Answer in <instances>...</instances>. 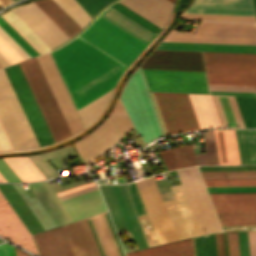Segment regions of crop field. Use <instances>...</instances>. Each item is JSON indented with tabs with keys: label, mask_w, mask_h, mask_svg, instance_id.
I'll use <instances>...</instances> for the list:
<instances>
[{
	"label": "crop field",
	"mask_w": 256,
	"mask_h": 256,
	"mask_svg": "<svg viewBox=\"0 0 256 256\" xmlns=\"http://www.w3.org/2000/svg\"><path fill=\"white\" fill-rule=\"evenodd\" d=\"M163 41L256 45V24L202 21L195 34L171 30ZM156 48L256 53V46L161 42Z\"/></svg>",
	"instance_id": "8a807250"
},
{
	"label": "crop field",
	"mask_w": 256,
	"mask_h": 256,
	"mask_svg": "<svg viewBox=\"0 0 256 256\" xmlns=\"http://www.w3.org/2000/svg\"><path fill=\"white\" fill-rule=\"evenodd\" d=\"M51 54L69 93L120 63L79 37Z\"/></svg>",
	"instance_id": "ac0d7876"
},
{
	"label": "crop field",
	"mask_w": 256,
	"mask_h": 256,
	"mask_svg": "<svg viewBox=\"0 0 256 256\" xmlns=\"http://www.w3.org/2000/svg\"><path fill=\"white\" fill-rule=\"evenodd\" d=\"M83 183L84 180L59 187L58 183L49 185L43 181L28 186L59 226L106 210L98 189L63 201L55 194Z\"/></svg>",
	"instance_id": "34b2d1b8"
},
{
	"label": "crop field",
	"mask_w": 256,
	"mask_h": 256,
	"mask_svg": "<svg viewBox=\"0 0 256 256\" xmlns=\"http://www.w3.org/2000/svg\"><path fill=\"white\" fill-rule=\"evenodd\" d=\"M86 219L101 256H124L107 212ZM86 219L63 227L75 256H100Z\"/></svg>",
	"instance_id": "412701ff"
},
{
	"label": "crop field",
	"mask_w": 256,
	"mask_h": 256,
	"mask_svg": "<svg viewBox=\"0 0 256 256\" xmlns=\"http://www.w3.org/2000/svg\"><path fill=\"white\" fill-rule=\"evenodd\" d=\"M144 89L147 88L138 67L126 82L120 99L136 132L147 144L163 134Z\"/></svg>",
	"instance_id": "f4fd0767"
},
{
	"label": "crop field",
	"mask_w": 256,
	"mask_h": 256,
	"mask_svg": "<svg viewBox=\"0 0 256 256\" xmlns=\"http://www.w3.org/2000/svg\"><path fill=\"white\" fill-rule=\"evenodd\" d=\"M0 120L15 150L39 146L3 69L0 70Z\"/></svg>",
	"instance_id": "dd49c442"
},
{
	"label": "crop field",
	"mask_w": 256,
	"mask_h": 256,
	"mask_svg": "<svg viewBox=\"0 0 256 256\" xmlns=\"http://www.w3.org/2000/svg\"><path fill=\"white\" fill-rule=\"evenodd\" d=\"M19 65L26 77V80L34 94V97L55 141L57 142L71 136L72 134L63 118V115L53 97V94L36 59L34 58L28 60L20 63Z\"/></svg>",
	"instance_id": "e52e79f7"
},
{
	"label": "crop field",
	"mask_w": 256,
	"mask_h": 256,
	"mask_svg": "<svg viewBox=\"0 0 256 256\" xmlns=\"http://www.w3.org/2000/svg\"><path fill=\"white\" fill-rule=\"evenodd\" d=\"M115 228L126 226L140 249L147 243L124 184L99 185Z\"/></svg>",
	"instance_id": "d8731c3e"
},
{
	"label": "crop field",
	"mask_w": 256,
	"mask_h": 256,
	"mask_svg": "<svg viewBox=\"0 0 256 256\" xmlns=\"http://www.w3.org/2000/svg\"><path fill=\"white\" fill-rule=\"evenodd\" d=\"M187 180L188 186L192 193V196L195 200L201 218L204 222L206 230L208 233L221 231L220 226L218 224L217 218L215 216L214 210L212 208L211 202L209 200L208 194L206 192L205 186L203 184L202 178L198 171L197 167L185 168L182 169ZM181 169L176 170L184 191L186 193L187 199L197 221L198 227L200 229L201 234H206L205 227L202 223L196 205L193 201L189 188L187 186L186 180L184 178L183 172Z\"/></svg>",
	"instance_id": "5a996713"
},
{
	"label": "crop field",
	"mask_w": 256,
	"mask_h": 256,
	"mask_svg": "<svg viewBox=\"0 0 256 256\" xmlns=\"http://www.w3.org/2000/svg\"><path fill=\"white\" fill-rule=\"evenodd\" d=\"M153 94L168 135L200 129L187 94Z\"/></svg>",
	"instance_id": "3316defc"
},
{
	"label": "crop field",
	"mask_w": 256,
	"mask_h": 256,
	"mask_svg": "<svg viewBox=\"0 0 256 256\" xmlns=\"http://www.w3.org/2000/svg\"><path fill=\"white\" fill-rule=\"evenodd\" d=\"M142 70L150 91L209 93L204 72Z\"/></svg>",
	"instance_id": "28ad6ade"
},
{
	"label": "crop field",
	"mask_w": 256,
	"mask_h": 256,
	"mask_svg": "<svg viewBox=\"0 0 256 256\" xmlns=\"http://www.w3.org/2000/svg\"><path fill=\"white\" fill-rule=\"evenodd\" d=\"M13 186L16 188L44 230L56 227V224L53 222L51 217L35 196L30 198L21 184H13ZM13 186L12 184H0V190L11 204L17 215L20 217L26 228L29 230L31 235L43 231V228L40 226Z\"/></svg>",
	"instance_id": "d1516ede"
},
{
	"label": "crop field",
	"mask_w": 256,
	"mask_h": 256,
	"mask_svg": "<svg viewBox=\"0 0 256 256\" xmlns=\"http://www.w3.org/2000/svg\"><path fill=\"white\" fill-rule=\"evenodd\" d=\"M159 244L178 240L154 177L135 182Z\"/></svg>",
	"instance_id": "22f410ed"
},
{
	"label": "crop field",
	"mask_w": 256,
	"mask_h": 256,
	"mask_svg": "<svg viewBox=\"0 0 256 256\" xmlns=\"http://www.w3.org/2000/svg\"><path fill=\"white\" fill-rule=\"evenodd\" d=\"M4 70L13 86V89L23 107V110L32 126V129L40 145L44 146L54 143L55 141L48 129V126L40 112V109L33 97V94L25 80V77L19 65L17 64L5 68Z\"/></svg>",
	"instance_id": "cbeb9de0"
},
{
	"label": "crop field",
	"mask_w": 256,
	"mask_h": 256,
	"mask_svg": "<svg viewBox=\"0 0 256 256\" xmlns=\"http://www.w3.org/2000/svg\"><path fill=\"white\" fill-rule=\"evenodd\" d=\"M80 37L127 65L142 50L95 21Z\"/></svg>",
	"instance_id": "5142ce71"
},
{
	"label": "crop field",
	"mask_w": 256,
	"mask_h": 256,
	"mask_svg": "<svg viewBox=\"0 0 256 256\" xmlns=\"http://www.w3.org/2000/svg\"><path fill=\"white\" fill-rule=\"evenodd\" d=\"M45 78L55 96V99L64 115V118L72 132L77 133L84 128L75 107L67 93V90L58 74V71L48 53L36 58Z\"/></svg>",
	"instance_id": "d9b57169"
},
{
	"label": "crop field",
	"mask_w": 256,
	"mask_h": 256,
	"mask_svg": "<svg viewBox=\"0 0 256 256\" xmlns=\"http://www.w3.org/2000/svg\"><path fill=\"white\" fill-rule=\"evenodd\" d=\"M12 11L50 48L69 39L34 2Z\"/></svg>",
	"instance_id": "733c2abd"
},
{
	"label": "crop field",
	"mask_w": 256,
	"mask_h": 256,
	"mask_svg": "<svg viewBox=\"0 0 256 256\" xmlns=\"http://www.w3.org/2000/svg\"><path fill=\"white\" fill-rule=\"evenodd\" d=\"M175 200L164 201L179 240L201 235L181 185L172 186Z\"/></svg>",
	"instance_id": "4a817a6b"
},
{
	"label": "crop field",
	"mask_w": 256,
	"mask_h": 256,
	"mask_svg": "<svg viewBox=\"0 0 256 256\" xmlns=\"http://www.w3.org/2000/svg\"><path fill=\"white\" fill-rule=\"evenodd\" d=\"M141 68L204 71L201 52L156 50Z\"/></svg>",
	"instance_id": "bc2a9ffb"
},
{
	"label": "crop field",
	"mask_w": 256,
	"mask_h": 256,
	"mask_svg": "<svg viewBox=\"0 0 256 256\" xmlns=\"http://www.w3.org/2000/svg\"><path fill=\"white\" fill-rule=\"evenodd\" d=\"M118 140L120 138L108 117L95 131L74 144L85 162L90 163L102 157V153Z\"/></svg>",
	"instance_id": "214f88e0"
},
{
	"label": "crop field",
	"mask_w": 256,
	"mask_h": 256,
	"mask_svg": "<svg viewBox=\"0 0 256 256\" xmlns=\"http://www.w3.org/2000/svg\"><path fill=\"white\" fill-rule=\"evenodd\" d=\"M0 235L7 238L11 242L39 255L30 233L25 228L1 192Z\"/></svg>",
	"instance_id": "92a150f3"
},
{
	"label": "crop field",
	"mask_w": 256,
	"mask_h": 256,
	"mask_svg": "<svg viewBox=\"0 0 256 256\" xmlns=\"http://www.w3.org/2000/svg\"><path fill=\"white\" fill-rule=\"evenodd\" d=\"M209 84L254 85L256 66L205 63Z\"/></svg>",
	"instance_id": "dafd665d"
},
{
	"label": "crop field",
	"mask_w": 256,
	"mask_h": 256,
	"mask_svg": "<svg viewBox=\"0 0 256 256\" xmlns=\"http://www.w3.org/2000/svg\"><path fill=\"white\" fill-rule=\"evenodd\" d=\"M126 66L123 64H118L115 67L111 68L107 72L103 73L102 75L98 76L97 78L93 79L92 81L88 82L87 84L83 85L79 89L75 90L74 92L70 93L73 101L78 100L79 98L83 97L84 95L90 93L91 91L95 90L96 88L100 87L101 85L105 84L106 82L112 80L113 78L117 77L118 75L122 74L125 70ZM113 79L112 81L106 83L105 85L101 86L100 88L96 89L95 91L91 92L90 94L84 96L83 98L79 99L78 101L74 102L77 110L85 106L86 104L90 103L91 101L95 100L96 98L100 97L104 93L108 92L109 90L113 89L118 78Z\"/></svg>",
	"instance_id": "00972430"
},
{
	"label": "crop field",
	"mask_w": 256,
	"mask_h": 256,
	"mask_svg": "<svg viewBox=\"0 0 256 256\" xmlns=\"http://www.w3.org/2000/svg\"><path fill=\"white\" fill-rule=\"evenodd\" d=\"M185 12L255 16L252 0H195Z\"/></svg>",
	"instance_id": "a9b5d70f"
},
{
	"label": "crop field",
	"mask_w": 256,
	"mask_h": 256,
	"mask_svg": "<svg viewBox=\"0 0 256 256\" xmlns=\"http://www.w3.org/2000/svg\"><path fill=\"white\" fill-rule=\"evenodd\" d=\"M33 238L40 256H74L62 226Z\"/></svg>",
	"instance_id": "4177f3b9"
},
{
	"label": "crop field",
	"mask_w": 256,
	"mask_h": 256,
	"mask_svg": "<svg viewBox=\"0 0 256 256\" xmlns=\"http://www.w3.org/2000/svg\"><path fill=\"white\" fill-rule=\"evenodd\" d=\"M159 28L168 22L171 12L152 0H120L118 1Z\"/></svg>",
	"instance_id": "730fd06b"
},
{
	"label": "crop field",
	"mask_w": 256,
	"mask_h": 256,
	"mask_svg": "<svg viewBox=\"0 0 256 256\" xmlns=\"http://www.w3.org/2000/svg\"><path fill=\"white\" fill-rule=\"evenodd\" d=\"M211 96L222 127H245L234 96Z\"/></svg>",
	"instance_id": "eef30255"
},
{
	"label": "crop field",
	"mask_w": 256,
	"mask_h": 256,
	"mask_svg": "<svg viewBox=\"0 0 256 256\" xmlns=\"http://www.w3.org/2000/svg\"><path fill=\"white\" fill-rule=\"evenodd\" d=\"M209 195L216 210L256 209V193Z\"/></svg>",
	"instance_id": "ae1a2a85"
},
{
	"label": "crop field",
	"mask_w": 256,
	"mask_h": 256,
	"mask_svg": "<svg viewBox=\"0 0 256 256\" xmlns=\"http://www.w3.org/2000/svg\"><path fill=\"white\" fill-rule=\"evenodd\" d=\"M188 95L201 129L221 127L210 95Z\"/></svg>",
	"instance_id": "d3111659"
},
{
	"label": "crop field",
	"mask_w": 256,
	"mask_h": 256,
	"mask_svg": "<svg viewBox=\"0 0 256 256\" xmlns=\"http://www.w3.org/2000/svg\"><path fill=\"white\" fill-rule=\"evenodd\" d=\"M35 3L69 38L82 29L52 0H39Z\"/></svg>",
	"instance_id": "750c4746"
},
{
	"label": "crop field",
	"mask_w": 256,
	"mask_h": 256,
	"mask_svg": "<svg viewBox=\"0 0 256 256\" xmlns=\"http://www.w3.org/2000/svg\"><path fill=\"white\" fill-rule=\"evenodd\" d=\"M220 164H240L234 130H214Z\"/></svg>",
	"instance_id": "bd1437ed"
},
{
	"label": "crop field",
	"mask_w": 256,
	"mask_h": 256,
	"mask_svg": "<svg viewBox=\"0 0 256 256\" xmlns=\"http://www.w3.org/2000/svg\"><path fill=\"white\" fill-rule=\"evenodd\" d=\"M108 8L109 9L106 12L103 11L100 16L124 29L128 33L142 40L143 42L149 44V42L156 35L151 31L147 30L146 28L142 27L141 25L137 24L136 22L120 14L119 12L115 11L114 9L110 7Z\"/></svg>",
	"instance_id": "1d83c4d3"
},
{
	"label": "crop field",
	"mask_w": 256,
	"mask_h": 256,
	"mask_svg": "<svg viewBox=\"0 0 256 256\" xmlns=\"http://www.w3.org/2000/svg\"><path fill=\"white\" fill-rule=\"evenodd\" d=\"M126 256H194L192 239L126 254Z\"/></svg>",
	"instance_id": "120bbe31"
},
{
	"label": "crop field",
	"mask_w": 256,
	"mask_h": 256,
	"mask_svg": "<svg viewBox=\"0 0 256 256\" xmlns=\"http://www.w3.org/2000/svg\"><path fill=\"white\" fill-rule=\"evenodd\" d=\"M227 236L230 256H249V247L250 256H256V232H248L249 247L247 232H237L239 254L236 232H227Z\"/></svg>",
	"instance_id": "d32e631a"
},
{
	"label": "crop field",
	"mask_w": 256,
	"mask_h": 256,
	"mask_svg": "<svg viewBox=\"0 0 256 256\" xmlns=\"http://www.w3.org/2000/svg\"><path fill=\"white\" fill-rule=\"evenodd\" d=\"M241 164H256V130H235Z\"/></svg>",
	"instance_id": "5866460e"
},
{
	"label": "crop field",
	"mask_w": 256,
	"mask_h": 256,
	"mask_svg": "<svg viewBox=\"0 0 256 256\" xmlns=\"http://www.w3.org/2000/svg\"><path fill=\"white\" fill-rule=\"evenodd\" d=\"M4 159L23 182L45 179L43 175L38 171V169L33 165V163L27 158V156Z\"/></svg>",
	"instance_id": "028f5c9d"
},
{
	"label": "crop field",
	"mask_w": 256,
	"mask_h": 256,
	"mask_svg": "<svg viewBox=\"0 0 256 256\" xmlns=\"http://www.w3.org/2000/svg\"><path fill=\"white\" fill-rule=\"evenodd\" d=\"M222 226L256 225V210L216 211Z\"/></svg>",
	"instance_id": "e1f06a70"
},
{
	"label": "crop field",
	"mask_w": 256,
	"mask_h": 256,
	"mask_svg": "<svg viewBox=\"0 0 256 256\" xmlns=\"http://www.w3.org/2000/svg\"><path fill=\"white\" fill-rule=\"evenodd\" d=\"M205 62L255 64L256 55L203 52Z\"/></svg>",
	"instance_id": "0bd39190"
},
{
	"label": "crop field",
	"mask_w": 256,
	"mask_h": 256,
	"mask_svg": "<svg viewBox=\"0 0 256 256\" xmlns=\"http://www.w3.org/2000/svg\"><path fill=\"white\" fill-rule=\"evenodd\" d=\"M166 150L176 169L197 165L191 145Z\"/></svg>",
	"instance_id": "b80d0937"
},
{
	"label": "crop field",
	"mask_w": 256,
	"mask_h": 256,
	"mask_svg": "<svg viewBox=\"0 0 256 256\" xmlns=\"http://www.w3.org/2000/svg\"><path fill=\"white\" fill-rule=\"evenodd\" d=\"M203 136L206 153L196 154L198 164H219L213 130H207V133H203Z\"/></svg>",
	"instance_id": "c035e120"
},
{
	"label": "crop field",
	"mask_w": 256,
	"mask_h": 256,
	"mask_svg": "<svg viewBox=\"0 0 256 256\" xmlns=\"http://www.w3.org/2000/svg\"><path fill=\"white\" fill-rule=\"evenodd\" d=\"M82 28L92 19L76 0H54Z\"/></svg>",
	"instance_id": "c21b1889"
},
{
	"label": "crop field",
	"mask_w": 256,
	"mask_h": 256,
	"mask_svg": "<svg viewBox=\"0 0 256 256\" xmlns=\"http://www.w3.org/2000/svg\"><path fill=\"white\" fill-rule=\"evenodd\" d=\"M111 92L112 90L78 110L86 127L102 112Z\"/></svg>",
	"instance_id": "03da06ac"
},
{
	"label": "crop field",
	"mask_w": 256,
	"mask_h": 256,
	"mask_svg": "<svg viewBox=\"0 0 256 256\" xmlns=\"http://www.w3.org/2000/svg\"><path fill=\"white\" fill-rule=\"evenodd\" d=\"M246 127H256V101L254 97L235 96Z\"/></svg>",
	"instance_id": "b54c1fbb"
},
{
	"label": "crop field",
	"mask_w": 256,
	"mask_h": 256,
	"mask_svg": "<svg viewBox=\"0 0 256 256\" xmlns=\"http://www.w3.org/2000/svg\"><path fill=\"white\" fill-rule=\"evenodd\" d=\"M196 256H217L214 233L194 238Z\"/></svg>",
	"instance_id": "5d738f31"
},
{
	"label": "crop field",
	"mask_w": 256,
	"mask_h": 256,
	"mask_svg": "<svg viewBox=\"0 0 256 256\" xmlns=\"http://www.w3.org/2000/svg\"><path fill=\"white\" fill-rule=\"evenodd\" d=\"M182 19H198V20H220V21H248L256 22L255 17L246 16H228V15H210V14H192L183 13Z\"/></svg>",
	"instance_id": "d23c7cc5"
},
{
	"label": "crop field",
	"mask_w": 256,
	"mask_h": 256,
	"mask_svg": "<svg viewBox=\"0 0 256 256\" xmlns=\"http://www.w3.org/2000/svg\"><path fill=\"white\" fill-rule=\"evenodd\" d=\"M203 179L256 178V171L200 172Z\"/></svg>",
	"instance_id": "425ffa30"
},
{
	"label": "crop field",
	"mask_w": 256,
	"mask_h": 256,
	"mask_svg": "<svg viewBox=\"0 0 256 256\" xmlns=\"http://www.w3.org/2000/svg\"><path fill=\"white\" fill-rule=\"evenodd\" d=\"M110 7L114 8L115 10L119 11L120 13L124 14L125 16L136 21L137 23L141 24L142 26L146 27L147 29L151 30L156 34L161 30L118 2L114 3Z\"/></svg>",
	"instance_id": "25e5ab78"
},
{
	"label": "crop field",
	"mask_w": 256,
	"mask_h": 256,
	"mask_svg": "<svg viewBox=\"0 0 256 256\" xmlns=\"http://www.w3.org/2000/svg\"><path fill=\"white\" fill-rule=\"evenodd\" d=\"M0 26L31 56L38 53L0 16Z\"/></svg>",
	"instance_id": "73cf0c24"
},
{
	"label": "crop field",
	"mask_w": 256,
	"mask_h": 256,
	"mask_svg": "<svg viewBox=\"0 0 256 256\" xmlns=\"http://www.w3.org/2000/svg\"><path fill=\"white\" fill-rule=\"evenodd\" d=\"M95 21L99 22L100 24L104 25L105 27L109 28L110 30L114 31L115 33L119 34L123 38L127 39L142 49H144L147 45L100 16H98Z\"/></svg>",
	"instance_id": "89e229c0"
},
{
	"label": "crop field",
	"mask_w": 256,
	"mask_h": 256,
	"mask_svg": "<svg viewBox=\"0 0 256 256\" xmlns=\"http://www.w3.org/2000/svg\"><path fill=\"white\" fill-rule=\"evenodd\" d=\"M47 161L51 160L58 168L63 167L61 162L64 159L74 156L70 146L63 149L47 152L42 154Z\"/></svg>",
	"instance_id": "1f2cbd36"
},
{
	"label": "crop field",
	"mask_w": 256,
	"mask_h": 256,
	"mask_svg": "<svg viewBox=\"0 0 256 256\" xmlns=\"http://www.w3.org/2000/svg\"><path fill=\"white\" fill-rule=\"evenodd\" d=\"M40 172L45 176L46 179L58 176L56 171L50 166V164L43 158L41 154L28 156ZM27 157V158H28Z\"/></svg>",
	"instance_id": "dbb93151"
},
{
	"label": "crop field",
	"mask_w": 256,
	"mask_h": 256,
	"mask_svg": "<svg viewBox=\"0 0 256 256\" xmlns=\"http://www.w3.org/2000/svg\"><path fill=\"white\" fill-rule=\"evenodd\" d=\"M0 53L5 57V59L10 64L24 60V58L1 36H0Z\"/></svg>",
	"instance_id": "0fb4a251"
},
{
	"label": "crop field",
	"mask_w": 256,
	"mask_h": 256,
	"mask_svg": "<svg viewBox=\"0 0 256 256\" xmlns=\"http://www.w3.org/2000/svg\"><path fill=\"white\" fill-rule=\"evenodd\" d=\"M77 1L87 11V13L93 18V16L101 8H103L113 0H77Z\"/></svg>",
	"instance_id": "1d79db26"
},
{
	"label": "crop field",
	"mask_w": 256,
	"mask_h": 256,
	"mask_svg": "<svg viewBox=\"0 0 256 256\" xmlns=\"http://www.w3.org/2000/svg\"><path fill=\"white\" fill-rule=\"evenodd\" d=\"M113 112H114L124 134L133 128L120 99H119L118 104L115 107Z\"/></svg>",
	"instance_id": "9d1cf04e"
},
{
	"label": "crop field",
	"mask_w": 256,
	"mask_h": 256,
	"mask_svg": "<svg viewBox=\"0 0 256 256\" xmlns=\"http://www.w3.org/2000/svg\"><path fill=\"white\" fill-rule=\"evenodd\" d=\"M204 182L206 186L256 185V179L204 180Z\"/></svg>",
	"instance_id": "447ae74e"
},
{
	"label": "crop field",
	"mask_w": 256,
	"mask_h": 256,
	"mask_svg": "<svg viewBox=\"0 0 256 256\" xmlns=\"http://www.w3.org/2000/svg\"><path fill=\"white\" fill-rule=\"evenodd\" d=\"M206 188L209 193L256 192V186L206 187Z\"/></svg>",
	"instance_id": "0765c3eb"
},
{
	"label": "crop field",
	"mask_w": 256,
	"mask_h": 256,
	"mask_svg": "<svg viewBox=\"0 0 256 256\" xmlns=\"http://www.w3.org/2000/svg\"><path fill=\"white\" fill-rule=\"evenodd\" d=\"M200 171L256 170V165L199 166Z\"/></svg>",
	"instance_id": "db79e9e6"
},
{
	"label": "crop field",
	"mask_w": 256,
	"mask_h": 256,
	"mask_svg": "<svg viewBox=\"0 0 256 256\" xmlns=\"http://www.w3.org/2000/svg\"><path fill=\"white\" fill-rule=\"evenodd\" d=\"M215 237H216L217 255L229 256L226 232H217L215 233Z\"/></svg>",
	"instance_id": "7b73153f"
},
{
	"label": "crop field",
	"mask_w": 256,
	"mask_h": 256,
	"mask_svg": "<svg viewBox=\"0 0 256 256\" xmlns=\"http://www.w3.org/2000/svg\"><path fill=\"white\" fill-rule=\"evenodd\" d=\"M0 173L8 182H22L3 158H0Z\"/></svg>",
	"instance_id": "78b8030e"
},
{
	"label": "crop field",
	"mask_w": 256,
	"mask_h": 256,
	"mask_svg": "<svg viewBox=\"0 0 256 256\" xmlns=\"http://www.w3.org/2000/svg\"><path fill=\"white\" fill-rule=\"evenodd\" d=\"M210 90L221 91H245L256 92V87L253 86H223V85H209Z\"/></svg>",
	"instance_id": "0f1d7ab4"
},
{
	"label": "crop field",
	"mask_w": 256,
	"mask_h": 256,
	"mask_svg": "<svg viewBox=\"0 0 256 256\" xmlns=\"http://www.w3.org/2000/svg\"><path fill=\"white\" fill-rule=\"evenodd\" d=\"M14 150L0 122V151Z\"/></svg>",
	"instance_id": "e1d0b9f6"
},
{
	"label": "crop field",
	"mask_w": 256,
	"mask_h": 256,
	"mask_svg": "<svg viewBox=\"0 0 256 256\" xmlns=\"http://www.w3.org/2000/svg\"><path fill=\"white\" fill-rule=\"evenodd\" d=\"M0 35L7 40L25 59L30 56L0 27Z\"/></svg>",
	"instance_id": "ae633e8c"
},
{
	"label": "crop field",
	"mask_w": 256,
	"mask_h": 256,
	"mask_svg": "<svg viewBox=\"0 0 256 256\" xmlns=\"http://www.w3.org/2000/svg\"><path fill=\"white\" fill-rule=\"evenodd\" d=\"M0 256H15L13 246L7 243L1 244Z\"/></svg>",
	"instance_id": "d14b1444"
},
{
	"label": "crop field",
	"mask_w": 256,
	"mask_h": 256,
	"mask_svg": "<svg viewBox=\"0 0 256 256\" xmlns=\"http://www.w3.org/2000/svg\"><path fill=\"white\" fill-rule=\"evenodd\" d=\"M97 188H98L97 185H95V186L85 188V189H82V190H79V191H76V192H73V193H70V194L60 196V199L63 200V199H66V198H69V197H72V196H75V195H78V194H82V193H85V192H88V191H91V190H94V189H97Z\"/></svg>",
	"instance_id": "c39391a2"
},
{
	"label": "crop field",
	"mask_w": 256,
	"mask_h": 256,
	"mask_svg": "<svg viewBox=\"0 0 256 256\" xmlns=\"http://www.w3.org/2000/svg\"><path fill=\"white\" fill-rule=\"evenodd\" d=\"M159 153H160V155H161V157H162V159H163V162H164V164H165L167 170H172V169H174V167H173V165H172V163H171V161H170V159H169V157H168L166 151H165V150H164V151H160Z\"/></svg>",
	"instance_id": "ade564c9"
},
{
	"label": "crop field",
	"mask_w": 256,
	"mask_h": 256,
	"mask_svg": "<svg viewBox=\"0 0 256 256\" xmlns=\"http://www.w3.org/2000/svg\"><path fill=\"white\" fill-rule=\"evenodd\" d=\"M211 94H226V95H255L256 93H245V92H221V91H210Z\"/></svg>",
	"instance_id": "c5b07064"
},
{
	"label": "crop field",
	"mask_w": 256,
	"mask_h": 256,
	"mask_svg": "<svg viewBox=\"0 0 256 256\" xmlns=\"http://www.w3.org/2000/svg\"><path fill=\"white\" fill-rule=\"evenodd\" d=\"M163 6L164 8L168 9L169 11H172L174 3L168 1V0H153Z\"/></svg>",
	"instance_id": "c3a83c6f"
},
{
	"label": "crop field",
	"mask_w": 256,
	"mask_h": 256,
	"mask_svg": "<svg viewBox=\"0 0 256 256\" xmlns=\"http://www.w3.org/2000/svg\"><path fill=\"white\" fill-rule=\"evenodd\" d=\"M86 185H88L87 187H89V186L95 185V183H94V181H92V182H89V183H87L85 185H82V186H79V187H76V188H73V189H69V190L57 193V195L60 196V195L66 194V193H70V192H73V191L85 188Z\"/></svg>",
	"instance_id": "fb207236"
},
{
	"label": "crop field",
	"mask_w": 256,
	"mask_h": 256,
	"mask_svg": "<svg viewBox=\"0 0 256 256\" xmlns=\"http://www.w3.org/2000/svg\"><path fill=\"white\" fill-rule=\"evenodd\" d=\"M110 116H111V118H112V120H113V122H114V124H115V127H116V129H117V131H118L120 137H122L124 134H123V132H122V130H121V128H120V126H119V124H118V122H117V120H116L114 114H113V112H112V114H111Z\"/></svg>",
	"instance_id": "7312dd0a"
},
{
	"label": "crop field",
	"mask_w": 256,
	"mask_h": 256,
	"mask_svg": "<svg viewBox=\"0 0 256 256\" xmlns=\"http://www.w3.org/2000/svg\"><path fill=\"white\" fill-rule=\"evenodd\" d=\"M0 64L5 67L9 65V63L4 59V57L0 54Z\"/></svg>",
	"instance_id": "180be81f"
},
{
	"label": "crop field",
	"mask_w": 256,
	"mask_h": 256,
	"mask_svg": "<svg viewBox=\"0 0 256 256\" xmlns=\"http://www.w3.org/2000/svg\"><path fill=\"white\" fill-rule=\"evenodd\" d=\"M14 249H15L16 256H30V255H28V254H26V253H24V252H22V251H20L16 248H14Z\"/></svg>",
	"instance_id": "f0312440"
},
{
	"label": "crop field",
	"mask_w": 256,
	"mask_h": 256,
	"mask_svg": "<svg viewBox=\"0 0 256 256\" xmlns=\"http://www.w3.org/2000/svg\"><path fill=\"white\" fill-rule=\"evenodd\" d=\"M11 2H12L11 0H0V7L3 5L9 4Z\"/></svg>",
	"instance_id": "1f1604b0"
},
{
	"label": "crop field",
	"mask_w": 256,
	"mask_h": 256,
	"mask_svg": "<svg viewBox=\"0 0 256 256\" xmlns=\"http://www.w3.org/2000/svg\"><path fill=\"white\" fill-rule=\"evenodd\" d=\"M0 182H7L5 178L0 174Z\"/></svg>",
	"instance_id": "819c52e7"
},
{
	"label": "crop field",
	"mask_w": 256,
	"mask_h": 256,
	"mask_svg": "<svg viewBox=\"0 0 256 256\" xmlns=\"http://www.w3.org/2000/svg\"><path fill=\"white\" fill-rule=\"evenodd\" d=\"M254 4H255V9H256V0H254Z\"/></svg>",
	"instance_id": "c821d689"
},
{
	"label": "crop field",
	"mask_w": 256,
	"mask_h": 256,
	"mask_svg": "<svg viewBox=\"0 0 256 256\" xmlns=\"http://www.w3.org/2000/svg\"><path fill=\"white\" fill-rule=\"evenodd\" d=\"M170 1L175 2V0H170Z\"/></svg>",
	"instance_id": "a0ae1fb6"
},
{
	"label": "crop field",
	"mask_w": 256,
	"mask_h": 256,
	"mask_svg": "<svg viewBox=\"0 0 256 256\" xmlns=\"http://www.w3.org/2000/svg\"><path fill=\"white\" fill-rule=\"evenodd\" d=\"M0 68H2V66L0 65Z\"/></svg>",
	"instance_id": "8de936bc"
},
{
	"label": "crop field",
	"mask_w": 256,
	"mask_h": 256,
	"mask_svg": "<svg viewBox=\"0 0 256 256\" xmlns=\"http://www.w3.org/2000/svg\"><path fill=\"white\" fill-rule=\"evenodd\" d=\"M0 243H2V241H0Z\"/></svg>",
	"instance_id": "920284fa"
},
{
	"label": "crop field",
	"mask_w": 256,
	"mask_h": 256,
	"mask_svg": "<svg viewBox=\"0 0 256 256\" xmlns=\"http://www.w3.org/2000/svg\"><path fill=\"white\" fill-rule=\"evenodd\" d=\"M256 98V97H255Z\"/></svg>",
	"instance_id": "f47e1a6f"
}]
</instances>
